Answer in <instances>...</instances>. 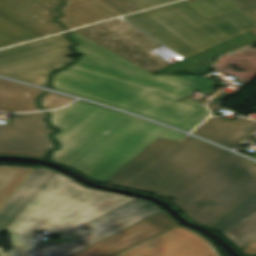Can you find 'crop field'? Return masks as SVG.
<instances>
[{
	"label": "crop field",
	"mask_w": 256,
	"mask_h": 256,
	"mask_svg": "<svg viewBox=\"0 0 256 256\" xmlns=\"http://www.w3.org/2000/svg\"><path fill=\"white\" fill-rule=\"evenodd\" d=\"M184 3L205 19L240 10L229 0H187Z\"/></svg>",
	"instance_id": "21"
},
{
	"label": "crop field",
	"mask_w": 256,
	"mask_h": 256,
	"mask_svg": "<svg viewBox=\"0 0 256 256\" xmlns=\"http://www.w3.org/2000/svg\"><path fill=\"white\" fill-rule=\"evenodd\" d=\"M251 32H252V33H254V34L256 35V29H255V30H252Z\"/></svg>",
	"instance_id": "28"
},
{
	"label": "crop field",
	"mask_w": 256,
	"mask_h": 256,
	"mask_svg": "<svg viewBox=\"0 0 256 256\" xmlns=\"http://www.w3.org/2000/svg\"><path fill=\"white\" fill-rule=\"evenodd\" d=\"M230 1H232L241 9L256 5V0H230Z\"/></svg>",
	"instance_id": "25"
},
{
	"label": "crop field",
	"mask_w": 256,
	"mask_h": 256,
	"mask_svg": "<svg viewBox=\"0 0 256 256\" xmlns=\"http://www.w3.org/2000/svg\"><path fill=\"white\" fill-rule=\"evenodd\" d=\"M181 102L190 104V105L195 106V107H198V108H200L201 106H203V104H200V103H198V102L192 101V100L187 99V98L183 99Z\"/></svg>",
	"instance_id": "27"
},
{
	"label": "crop field",
	"mask_w": 256,
	"mask_h": 256,
	"mask_svg": "<svg viewBox=\"0 0 256 256\" xmlns=\"http://www.w3.org/2000/svg\"><path fill=\"white\" fill-rule=\"evenodd\" d=\"M246 14H248L250 17H252L254 20H256V7L249 8L246 10H243Z\"/></svg>",
	"instance_id": "26"
},
{
	"label": "crop field",
	"mask_w": 256,
	"mask_h": 256,
	"mask_svg": "<svg viewBox=\"0 0 256 256\" xmlns=\"http://www.w3.org/2000/svg\"><path fill=\"white\" fill-rule=\"evenodd\" d=\"M47 115L15 114L12 124L0 125V153L45 157L48 149L54 148L44 119Z\"/></svg>",
	"instance_id": "9"
},
{
	"label": "crop field",
	"mask_w": 256,
	"mask_h": 256,
	"mask_svg": "<svg viewBox=\"0 0 256 256\" xmlns=\"http://www.w3.org/2000/svg\"><path fill=\"white\" fill-rule=\"evenodd\" d=\"M73 100L74 98L48 92L40 99V103L44 109H54L62 107Z\"/></svg>",
	"instance_id": "22"
},
{
	"label": "crop field",
	"mask_w": 256,
	"mask_h": 256,
	"mask_svg": "<svg viewBox=\"0 0 256 256\" xmlns=\"http://www.w3.org/2000/svg\"><path fill=\"white\" fill-rule=\"evenodd\" d=\"M83 56L52 78L56 90L94 99L191 131L210 115L179 102L199 90L210 92L207 77L154 76L100 45L72 32ZM150 97H147V96Z\"/></svg>",
	"instance_id": "1"
},
{
	"label": "crop field",
	"mask_w": 256,
	"mask_h": 256,
	"mask_svg": "<svg viewBox=\"0 0 256 256\" xmlns=\"http://www.w3.org/2000/svg\"><path fill=\"white\" fill-rule=\"evenodd\" d=\"M44 91L0 79V110L9 112L38 111L36 99Z\"/></svg>",
	"instance_id": "17"
},
{
	"label": "crop field",
	"mask_w": 256,
	"mask_h": 256,
	"mask_svg": "<svg viewBox=\"0 0 256 256\" xmlns=\"http://www.w3.org/2000/svg\"><path fill=\"white\" fill-rule=\"evenodd\" d=\"M55 173L56 171L39 166L0 212L1 232L7 230Z\"/></svg>",
	"instance_id": "16"
},
{
	"label": "crop field",
	"mask_w": 256,
	"mask_h": 256,
	"mask_svg": "<svg viewBox=\"0 0 256 256\" xmlns=\"http://www.w3.org/2000/svg\"><path fill=\"white\" fill-rule=\"evenodd\" d=\"M224 232L246 254H256V192L213 226Z\"/></svg>",
	"instance_id": "14"
},
{
	"label": "crop field",
	"mask_w": 256,
	"mask_h": 256,
	"mask_svg": "<svg viewBox=\"0 0 256 256\" xmlns=\"http://www.w3.org/2000/svg\"><path fill=\"white\" fill-rule=\"evenodd\" d=\"M131 199L89 189L57 172L8 228L13 248L9 253L0 248V256H21L36 243L35 230L69 231Z\"/></svg>",
	"instance_id": "4"
},
{
	"label": "crop field",
	"mask_w": 256,
	"mask_h": 256,
	"mask_svg": "<svg viewBox=\"0 0 256 256\" xmlns=\"http://www.w3.org/2000/svg\"><path fill=\"white\" fill-rule=\"evenodd\" d=\"M67 33L0 51V75L48 86L53 71L74 61Z\"/></svg>",
	"instance_id": "7"
},
{
	"label": "crop field",
	"mask_w": 256,
	"mask_h": 256,
	"mask_svg": "<svg viewBox=\"0 0 256 256\" xmlns=\"http://www.w3.org/2000/svg\"><path fill=\"white\" fill-rule=\"evenodd\" d=\"M117 256H221L203 235L179 225Z\"/></svg>",
	"instance_id": "10"
},
{
	"label": "crop field",
	"mask_w": 256,
	"mask_h": 256,
	"mask_svg": "<svg viewBox=\"0 0 256 256\" xmlns=\"http://www.w3.org/2000/svg\"><path fill=\"white\" fill-rule=\"evenodd\" d=\"M75 31L151 73L171 65L147 51L162 45L123 20Z\"/></svg>",
	"instance_id": "8"
},
{
	"label": "crop field",
	"mask_w": 256,
	"mask_h": 256,
	"mask_svg": "<svg viewBox=\"0 0 256 256\" xmlns=\"http://www.w3.org/2000/svg\"><path fill=\"white\" fill-rule=\"evenodd\" d=\"M61 131L54 135L61 148L50 160L72 167L103 183L158 138L179 141L184 134L145 120L77 101L49 112Z\"/></svg>",
	"instance_id": "3"
},
{
	"label": "crop field",
	"mask_w": 256,
	"mask_h": 256,
	"mask_svg": "<svg viewBox=\"0 0 256 256\" xmlns=\"http://www.w3.org/2000/svg\"><path fill=\"white\" fill-rule=\"evenodd\" d=\"M231 154L187 137L124 188L171 197L211 227L256 191V164Z\"/></svg>",
	"instance_id": "2"
},
{
	"label": "crop field",
	"mask_w": 256,
	"mask_h": 256,
	"mask_svg": "<svg viewBox=\"0 0 256 256\" xmlns=\"http://www.w3.org/2000/svg\"><path fill=\"white\" fill-rule=\"evenodd\" d=\"M161 211H163L161 208L135 198L71 229L70 232L52 233L60 237V240L38 244L24 256H72L85 250L91 244ZM86 227L89 230H85Z\"/></svg>",
	"instance_id": "6"
},
{
	"label": "crop field",
	"mask_w": 256,
	"mask_h": 256,
	"mask_svg": "<svg viewBox=\"0 0 256 256\" xmlns=\"http://www.w3.org/2000/svg\"><path fill=\"white\" fill-rule=\"evenodd\" d=\"M194 133L235 148L256 133V121L241 116L234 122L222 118H210Z\"/></svg>",
	"instance_id": "15"
},
{
	"label": "crop field",
	"mask_w": 256,
	"mask_h": 256,
	"mask_svg": "<svg viewBox=\"0 0 256 256\" xmlns=\"http://www.w3.org/2000/svg\"><path fill=\"white\" fill-rule=\"evenodd\" d=\"M41 37L0 15V47Z\"/></svg>",
	"instance_id": "20"
},
{
	"label": "crop field",
	"mask_w": 256,
	"mask_h": 256,
	"mask_svg": "<svg viewBox=\"0 0 256 256\" xmlns=\"http://www.w3.org/2000/svg\"><path fill=\"white\" fill-rule=\"evenodd\" d=\"M256 140V139H255ZM255 159H256V157H255Z\"/></svg>",
	"instance_id": "29"
},
{
	"label": "crop field",
	"mask_w": 256,
	"mask_h": 256,
	"mask_svg": "<svg viewBox=\"0 0 256 256\" xmlns=\"http://www.w3.org/2000/svg\"><path fill=\"white\" fill-rule=\"evenodd\" d=\"M137 11L129 0H65L58 21L69 30Z\"/></svg>",
	"instance_id": "13"
},
{
	"label": "crop field",
	"mask_w": 256,
	"mask_h": 256,
	"mask_svg": "<svg viewBox=\"0 0 256 256\" xmlns=\"http://www.w3.org/2000/svg\"><path fill=\"white\" fill-rule=\"evenodd\" d=\"M227 98V96L221 95L219 94L218 96H216L214 99H212L210 102L207 103V105L209 106V108L215 112L222 104H223V100Z\"/></svg>",
	"instance_id": "24"
},
{
	"label": "crop field",
	"mask_w": 256,
	"mask_h": 256,
	"mask_svg": "<svg viewBox=\"0 0 256 256\" xmlns=\"http://www.w3.org/2000/svg\"><path fill=\"white\" fill-rule=\"evenodd\" d=\"M179 225L165 211L120 231L74 256H115Z\"/></svg>",
	"instance_id": "11"
},
{
	"label": "crop field",
	"mask_w": 256,
	"mask_h": 256,
	"mask_svg": "<svg viewBox=\"0 0 256 256\" xmlns=\"http://www.w3.org/2000/svg\"><path fill=\"white\" fill-rule=\"evenodd\" d=\"M61 0H0V13L46 36L64 28L55 22Z\"/></svg>",
	"instance_id": "12"
},
{
	"label": "crop field",
	"mask_w": 256,
	"mask_h": 256,
	"mask_svg": "<svg viewBox=\"0 0 256 256\" xmlns=\"http://www.w3.org/2000/svg\"><path fill=\"white\" fill-rule=\"evenodd\" d=\"M35 170L28 167L0 166V211Z\"/></svg>",
	"instance_id": "19"
},
{
	"label": "crop field",
	"mask_w": 256,
	"mask_h": 256,
	"mask_svg": "<svg viewBox=\"0 0 256 256\" xmlns=\"http://www.w3.org/2000/svg\"><path fill=\"white\" fill-rule=\"evenodd\" d=\"M159 139V138H158ZM157 139V140H158ZM176 143L175 141L159 139L153 145H151L147 150L135 158L131 163L119 171L115 176H113L108 182L114 183L115 186L123 187L138 174L144 171L148 166H150L154 161H156L160 156L167 152Z\"/></svg>",
	"instance_id": "18"
},
{
	"label": "crop field",
	"mask_w": 256,
	"mask_h": 256,
	"mask_svg": "<svg viewBox=\"0 0 256 256\" xmlns=\"http://www.w3.org/2000/svg\"><path fill=\"white\" fill-rule=\"evenodd\" d=\"M130 1H132L135 5H137L142 10H144L147 8H151V7L172 2L175 0H130Z\"/></svg>",
	"instance_id": "23"
},
{
	"label": "crop field",
	"mask_w": 256,
	"mask_h": 256,
	"mask_svg": "<svg viewBox=\"0 0 256 256\" xmlns=\"http://www.w3.org/2000/svg\"><path fill=\"white\" fill-rule=\"evenodd\" d=\"M126 19L185 58L256 28L242 11L205 21L182 2Z\"/></svg>",
	"instance_id": "5"
}]
</instances>
